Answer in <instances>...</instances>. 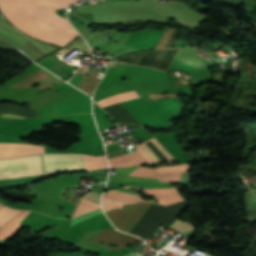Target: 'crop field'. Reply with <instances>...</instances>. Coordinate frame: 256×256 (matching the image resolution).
Returning a JSON list of instances; mask_svg holds the SVG:
<instances>
[{"label": "crop field", "instance_id": "4a817a6b", "mask_svg": "<svg viewBox=\"0 0 256 256\" xmlns=\"http://www.w3.org/2000/svg\"><path fill=\"white\" fill-rule=\"evenodd\" d=\"M170 227L184 233L188 230H191L193 229V227L189 224V223H186V222H182V221H179L177 220L175 223H173Z\"/></svg>", "mask_w": 256, "mask_h": 256}, {"label": "crop field", "instance_id": "5142ce71", "mask_svg": "<svg viewBox=\"0 0 256 256\" xmlns=\"http://www.w3.org/2000/svg\"><path fill=\"white\" fill-rule=\"evenodd\" d=\"M136 203V202H123L116 199L103 197V209L104 211H109L116 208H122L123 204Z\"/></svg>", "mask_w": 256, "mask_h": 256}, {"label": "crop field", "instance_id": "92a150f3", "mask_svg": "<svg viewBox=\"0 0 256 256\" xmlns=\"http://www.w3.org/2000/svg\"><path fill=\"white\" fill-rule=\"evenodd\" d=\"M1 115L4 116L7 119L23 118V117L16 116L14 114H1Z\"/></svg>", "mask_w": 256, "mask_h": 256}, {"label": "crop field", "instance_id": "bc2a9ffb", "mask_svg": "<svg viewBox=\"0 0 256 256\" xmlns=\"http://www.w3.org/2000/svg\"><path fill=\"white\" fill-rule=\"evenodd\" d=\"M100 213H102L101 209H98V210L89 212L87 214L81 215L79 217H76V218L72 219L71 225L73 226V225H75V224H77V223H79V222H81V221H83V220L93 216V215H97V214H100Z\"/></svg>", "mask_w": 256, "mask_h": 256}, {"label": "crop field", "instance_id": "28ad6ade", "mask_svg": "<svg viewBox=\"0 0 256 256\" xmlns=\"http://www.w3.org/2000/svg\"><path fill=\"white\" fill-rule=\"evenodd\" d=\"M98 74H99V71L90 70L86 78L84 79V81L79 86V89L92 95L97 83L99 82V79L96 78Z\"/></svg>", "mask_w": 256, "mask_h": 256}, {"label": "crop field", "instance_id": "214f88e0", "mask_svg": "<svg viewBox=\"0 0 256 256\" xmlns=\"http://www.w3.org/2000/svg\"><path fill=\"white\" fill-rule=\"evenodd\" d=\"M84 197H87V198H89V199L99 203L100 194H98V193H96L94 191H90V192L86 193L84 195Z\"/></svg>", "mask_w": 256, "mask_h": 256}, {"label": "crop field", "instance_id": "f4fd0767", "mask_svg": "<svg viewBox=\"0 0 256 256\" xmlns=\"http://www.w3.org/2000/svg\"><path fill=\"white\" fill-rule=\"evenodd\" d=\"M151 203L124 205L123 209L106 212L117 229L129 232Z\"/></svg>", "mask_w": 256, "mask_h": 256}, {"label": "crop field", "instance_id": "22f410ed", "mask_svg": "<svg viewBox=\"0 0 256 256\" xmlns=\"http://www.w3.org/2000/svg\"><path fill=\"white\" fill-rule=\"evenodd\" d=\"M83 158H84V163H85V166H86V170H87V171H88V170H95V169H96V170H99V169L108 168L104 156H102V157H92V158H93L94 165H95V169H94V165H93V162H92V158H91V157L83 155Z\"/></svg>", "mask_w": 256, "mask_h": 256}, {"label": "crop field", "instance_id": "412701ff", "mask_svg": "<svg viewBox=\"0 0 256 256\" xmlns=\"http://www.w3.org/2000/svg\"><path fill=\"white\" fill-rule=\"evenodd\" d=\"M45 175L85 170L82 155L78 154H45L42 155Z\"/></svg>", "mask_w": 256, "mask_h": 256}, {"label": "crop field", "instance_id": "8a807250", "mask_svg": "<svg viewBox=\"0 0 256 256\" xmlns=\"http://www.w3.org/2000/svg\"><path fill=\"white\" fill-rule=\"evenodd\" d=\"M76 0H0V11L24 33L64 47L79 34L66 18L56 16L54 8L65 9Z\"/></svg>", "mask_w": 256, "mask_h": 256}, {"label": "crop field", "instance_id": "e52e79f7", "mask_svg": "<svg viewBox=\"0 0 256 256\" xmlns=\"http://www.w3.org/2000/svg\"><path fill=\"white\" fill-rule=\"evenodd\" d=\"M39 153H44V147L26 144L0 143V158L18 157Z\"/></svg>", "mask_w": 256, "mask_h": 256}, {"label": "crop field", "instance_id": "00972430", "mask_svg": "<svg viewBox=\"0 0 256 256\" xmlns=\"http://www.w3.org/2000/svg\"><path fill=\"white\" fill-rule=\"evenodd\" d=\"M118 125H120V123H118Z\"/></svg>", "mask_w": 256, "mask_h": 256}, {"label": "crop field", "instance_id": "cbeb9de0", "mask_svg": "<svg viewBox=\"0 0 256 256\" xmlns=\"http://www.w3.org/2000/svg\"><path fill=\"white\" fill-rule=\"evenodd\" d=\"M98 208H100L98 204L93 203L84 198H81V201H80L79 205L77 206L76 211L74 212L72 218L79 216L81 214L87 213L89 211L98 209Z\"/></svg>", "mask_w": 256, "mask_h": 256}, {"label": "crop field", "instance_id": "5a996713", "mask_svg": "<svg viewBox=\"0 0 256 256\" xmlns=\"http://www.w3.org/2000/svg\"><path fill=\"white\" fill-rule=\"evenodd\" d=\"M108 161H109L111 167L130 166V165H136V164L146 162L136 152L118 156V157H114V158H110V159H108Z\"/></svg>", "mask_w": 256, "mask_h": 256}, {"label": "crop field", "instance_id": "dd49c442", "mask_svg": "<svg viewBox=\"0 0 256 256\" xmlns=\"http://www.w3.org/2000/svg\"><path fill=\"white\" fill-rule=\"evenodd\" d=\"M0 26L1 27H4V28H7L9 30H12L16 33H18L19 35H21L23 38H25L29 43H31L34 47H36L38 50H40L42 53L46 54L47 52H50L51 50H53L54 48L52 47H49L45 44H42L40 42H37L35 40H33L35 43H37L39 46H41L44 50H46L47 52H45L43 49H41L39 46H37L35 43H33L31 40H29L27 37L23 36L22 34H20L19 32H17L15 29H13L12 27H10L9 25H7L5 22H3L2 20H0ZM0 27V32L8 35V36H11L12 38L16 39L18 42H20L21 44L26 42V40H24L21 36H19L18 34L12 32V31H9V30H6L4 28H1ZM0 33V37L11 42L12 44L16 45L17 47H19L21 49V51L23 53H25L26 55H28L30 58H32L33 60H35L36 58L44 55L42 54L40 51H38L36 48H34L31 44H29L28 42L23 44L28 50H30L32 53H34L35 55H37L38 57H36L34 54H32L30 51H28L24 46H22L20 43H18L16 40L4 35Z\"/></svg>", "mask_w": 256, "mask_h": 256}, {"label": "crop field", "instance_id": "d9b57169", "mask_svg": "<svg viewBox=\"0 0 256 256\" xmlns=\"http://www.w3.org/2000/svg\"><path fill=\"white\" fill-rule=\"evenodd\" d=\"M106 196L116 198V199H120V200H125V201H140V199H138L137 197L112 192L110 190L106 193Z\"/></svg>", "mask_w": 256, "mask_h": 256}, {"label": "crop field", "instance_id": "d1516ede", "mask_svg": "<svg viewBox=\"0 0 256 256\" xmlns=\"http://www.w3.org/2000/svg\"><path fill=\"white\" fill-rule=\"evenodd\" d=\"M137 167L132 168H118L117 174L128 175ZM122 175H115L109 178L108 181H144V180H155L158 179H151V178H139V177H131V176H122Z\"/></svg>", "mask_w": 256, "mask_h": 256}, {"label": "crop field", "instance_id": "ac0d7876", "mask_svg": "<svg viewBox=\"0 0 256 256\" xmlns=\"http://www.w3.org/2000/svg\"><path fill=\"white\" fill-rule=\"evenodd\" d=\"M41 174L44 173L40 155L0 159V179H13Z\"/></svg>", "mask_w": 256, "mask_h": 256}, {"label": "crop field", "instance_id": "3316defc", "mask_svg": "<svg viewBox=\"0 0 256 256\" xmlns=\"http://www.w3.org/2000/svg\"><path fill=\"white\" fill-rule=\"evenodd\" d=\"M126 188H134V189H138V190H147V192L145 194H142V196H149V197H155V198H160L163 197L167 194L170 193H174L177 192L178 190H176L175 188H164V189H157V188H150V189H141V188H135V187H130V186H126ZM116 190H120V191H125V190H121V189H116ZM116 190H112V191H116ZM120 191H116V192H120ZM125 192H130V191H125ZM125 192H120V193H124V194H129V193H125ZM130 193H134V194H139V193H135V192H130ZM134 194H129V195H133V196H139V195H134ZM156 200V199H154ZM153 201V200H152Z\"/></svg>", "mask_w": 256, "mask_h": 256}, {"label": "crop field", "instance_id": "dafd665d", "mask_svg": "<svg viewBox=\"0 0 256 256\" xmlns=\"http://www.w3.org/2000/svg\"><path fill=\"white\" fill-rule=\"evenodd\" d=\"M136 148L139 150V152L144 156V158L152 165V163L149 161V159L142 153V151L136 146Z\"/></svg>", "mask_w": 256, "mask_h": 256}, {"label": "crop field", "instance_id": "d8731c3e", "mask_svg": "<svg viewBox=\"0 0 256 256\" xmlns=\"http://www.w3.org/2000/svg\"><path fill=\"white\" fill-rule=\"evenodd\" d=\"M97 240L126 247L140 239L131 235L120 233L115 230H103Z\"/></svg>", "mask_w": 256, "mask_h": 256}, {"label": "crop field", "instance_id": "34b2d1b8", "mask_svg": "<svg viewBox=\"0 0 256 256\" xmlns=\"http://www.w3.org/2000/svg\"><path fill=\"white\" fill-rule=\"evenodd\" d=\"M38 110L41 116L91 113V100L82 93Z\"/></svg>", "mask_w": 256, "mask_h": 256}, {"label": "crop field", "instance_id": "733c2abd", "mask_svg": "<svg viewBox=\"0 0 256 256\" xmlns=\"http://www.w3.org/2000/svg\"><path fill=\"white\" fill-rule=\"evenodd\" d=\"M30 212V211H29ZM28 212V213H29ZM27 213V214H28ZM26 214V215H27ZM25 215V216H26ZM25 216L23 217V218H21L19 221H17L16 223H14L10 228H8L7 230H5L3 233H1L0 234V238H2V239H8L13 233H14V231L20 226V222L25 218ZM28 216V215H27ZM26 216V217H27Z\"/></svg>", "mask_w": 256, "mask_h": 256}]
</instances>
